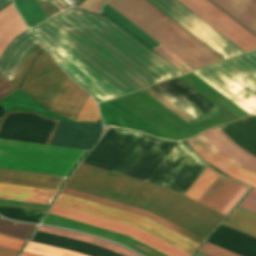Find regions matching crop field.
<instances>
[{"label":"crop field","instance_id":"30","mask_svg":"<svg viewBox=\"0 0 256 256\" xmlns=\"http://www.w3.org/2000/svg\"><path fill=\"white\" fill-rule=\"evenodd\" d=\"M24 244L25 241L0 235V246L20 251ZM4 247H0V256H16L18 254V251H14Z\"/></svg>","mask_w":256,"mask_h":256},{"label":"crop field","instance_id":"16","mask_svg":"<svg viewBox=\"0 0 256 256\" xmlns=\"http://www.w3.org/2000/svg\"><path fill=\"white\" fill-rule=\"evenodd\" d=\"M222 155L256 172V157L238 147L219 127L201 133Z\"/></svg>","mask_w":256,"mask_h":256},{"label":"crop field","instance_id":"34","mask_svg":"<svg viewBox=\"0 0 256 256\" xmlns=\"http://www.w3.org/2000/svg\"><path fill=\"white\" fill-rule=\"evenodd\" d=\"M17 90V88L0 76V99Z\"/></svg>","mask_w":256,"mask_h":256},{"label":"crop field","instance_id":"8","mask_svg":"<svg viewBox=\"0 0 256 256\" xmlns=\"http://www.w3.org/2000/svg\"><path fill=\"white\" fill-rule=\"evenodd\" d=\"M66 76L44 50L23 81L21 90L49 109Z\"/></svg>","mask_w":256,"mask_h":256},{"label":"crop field","instance_id":"9","mask_svg":"<svg viewBox=\"0 0 256 256\" xmlns=\"http://www.w3.org/2000/svg\"><path fill=\"white\" fill-rule=\"evenodd\" d=\"M50 214L81 222L84 224L92 225L116 233L130 236L168 256H189V254L135 228L111 220H107L101 217L90 215L84 212L66 208L60 205L54 204L49 211Z\"/></svg>","mask_w":256,"mask_h":256},{"label":"crop field","instance_id":"25","mask_svg":"<svg viewBox=\"0 0 256 256\" xmlns=\"http://www.w3.org/2000/svg\"><path fill=\"white\" fill-rule=\"evenodd\" d=\"M14 3L28 27L48 19L36 0H14Z\"/></svg>","mask_w":256,"mask_h":256},{"label":"crop field","instance_id":"11","mask_svg":"<svg viewBox=\"0 0 256 256\" xmlns=\"http://www.w3.org/2000/svg\"><path fill=\"white\" fill-rule=\"evenodd\" d=\"M186 142L209 164L228 176L256 187V173L222 156L201 134Z\"/></svg>","mask_w":256,"mask_h":256},{"label":"crop field","instance_id":"21","mask_svg":"<svg viewBox=\"0 0 256 256\" xmlns=\"http://www.w3.org/2000/svg\"><path fill=\"white\" fill-rule=\"evenodd\" d=\"M256 35V0H211Z\"/></svg>","mask_w":256,"mask_h":256},{"label":"crop field","instance_id":"7","mask_svg":"<svg viewBox=\"0 0 256 256\" xmlns=\"http://www.w3.org/2000/svg\"><path fill=\"white\" fill-rule=\"evenodd\" d=\"M224 59L244 53L177 0H148Z\"/></svg>","mask_w":256,"mask_h":256},{"label":"crop field","instance_id":"32","mask_svg":"<svg viewBox=\"0 0 256 256\" xmlns=\"http://www.w3.org/2000/svg\"><path fill=\"white\" fill-rule=\"evenodd\" d=\"M209 244L205 243L199 251L210 256H237L220 248L214 247L215 245L212 246Z\"/></svg>","mask_w":256,"mask_h":256},{"label":"crop field","instance_id":"13","mask_svg":"<svg viewBox=\"0 0 256 256\" xmlns=\"http://www.w3.org/2000/svg\"><path fill=\"white\" fill-rule=\"evenodd\" d=\"M102 126L60 122L50 145L89 150L100 138Z\"/></svg>","mask_w":256,"mask_h":256},{"label":"crop field","instance_id":"14","mask_svg":"<svg viewBox=\"0 0 256 256\" xmlns=\"http://www.w3.org/2000/svg\"><path fill=\"white\" fill-rule=\"evenodd\" d=\"M38 44L29 29L16 37L0 59V75L12 82L26 55Z\"/></svg>","mask_w":256,"mask_h":256},{"label":"crop field","instance_id":"24","mask_svg":"<svg viewBox=\"0 0 256 256\" xmlns=\"http://www.w3.org/2000/svg\"><path fill=\"white\" fill-rule=\"evenodd\" d=\"M223 225L256 238V214L252 212L237 207Z\"/></svg>","mask_w":256,"mask_h":256},{"label":"crop field","instance_id":"37","mask_svg":"<svg viewBox=\"0 0 256 256\" xmlns=\"http://www.w3.org/2000/svg\"><path fill=\"white\" fill-rule=\"evenodd\" d=\"M21 256H38V255L23 252V254Z\"/></svg>","mask_w":256,"mask_h":256},{"label":"crop field","instance_id":"4","mask_svg":"<svg viewBox=\"0 0 256 256\" xmlns=\"http://www.w3.org/2000/svg\"><path fill=\"white\" fill-rule=\"evenodd\" d=\"M86 152L0 139V168L68 177Z\"/></svg>","mask_w":256,"mask_h":256},{"label":"crop field","instance_id":"23","mask_svg":"<svg viewBox=\"0 0 256 256\" xmlns=\"http://www.w3.org/2000/svg\"><path fill=\"white\" fill-rule=\"evenodd\" d=\"M38 230L47 232V233H51V234H55V235H60V236L80 240V241H84V242H87L90 244H94V245L106 248L108 250L114 251L116 253L122 254L124 256H138V255L114 244V243H110V242H107V241H104V240H101L98 238L86 236V235H83L80 233L62 230V229L53 228V227H45V226H40Z\"/></svg>","mask_w":256,"mask_h":256},{"label":"crop field","instance_id":"15","mask_svg":"<svg viewBox=\"0 0 256 256\" xmlns=\"http://www.w3.org/2000/svg\"><path fill=\"white\" fill-rule=\"evenodd\" d=\"M88 95L67 76L49 110L75 121Z\"/></svg>","mask_w":256,"mask_h":256},{"label":"crop field","instance_id":"2","mask_svg":"<svg viewBox=\"0 0 256 256\" xmlns=\"http://www.w3.org/2000/svg\"><path fill=\"white\" fill-rule=\"evenodd\" d=\"M66 188L149 210L204 239L225 217L169 188L83 163Z\"/></svg>","mask_w":256,"mask_h":256},{"label":"crop field","instance_id":"10","mask_svg":"<svg viewBox=\"0 0 256 256\" xmlns=\"http://www.w3.org/2000/svg\"><path fill=\"white\" fill-rule=\"evenodd\" d=\"M245 52L256 48V36L208 0H178Z\"/></svg>","mask_w":256,"mask_h":256},{"label":"crop field","instance_id":"6","mask_svg":"<svg viewBox=\"0 0 256 256\" xmlns=\"http://www.w3.org/2000/svg\"><path fill=\"white\" fill-rule=\"evenodd\" d=\"M56 204L101 216L107 219L138 227L188 253H192L198 244L144 218L114 208L103 206L77 197L61 193Z\"/></svg>","mask_w":256,"mask_h":256},{"label":"crop field","instance_id":"5","mask_svg":"<svg viewBox=\"0 0 256 256\" xmlns=\"http://www.w3.org/2000/svg\"><path fill=\"white\" fill-rule=\"evenodd\" d=\"M250 115H256V51L193 72Z\"/></svg>","mask_w":256,"mask_h":256},{"label":"crop field","instance_id":"36","mask_svg":"<svg viewBox=\"0 0 256 256\" xmlns=\"http://www.w3.org/2000/svg\"><path fill=\"white\" fill-rule=\"evenodd\" d=\"M10 2H12L11 0H0V10L5 7L6 5H8Z\"/></svg>","mask_w":256,"mask_h":256},{"label":"crop field","instance_id":"1","mask_svg":"<svg viewBox=\"0 0 256 256\" xmlns=\"http://www.w3.org/2000/svg\"><path fill=\"white\" fill-rule=\"evenodd\" d=\"M31 31L96 102L181 75L106 17L71 8Z\"/></svg>","mask_w":256,"mask_h":256},{"label":"crop field","instance_id":"20","mask_svg":"<svg viewBox=\"0 0 256 256\" xmlns=\"http://www.w3.org/2000/svg\"><path fill=\"white\" fill-rule=\"evenodd\" d=\"M57 191L0 183V199L50 205Z\"/></svg>","mask_w":256,"mask_h":256},{"label":"crop field","instance_id":"19","mask_svg":"<svg viewBox=\"0 0 256 256\" xmlns=\"http://www.w3.org/2000/svg\"><path fill=\"white\" fill-rule=\"evenodd\" d=\"M66 178L0 169V182L59 190Z\"/></svg>","mask_w":256,"mask_h":256},{"label":"crop field","instance_id":"31","mask_svg":"<svg viewBox=\"0 0 256 256\" xmlns=\"http://www.w3.org/2000/svg\"><path fill=\"white\" fill-rule=\"evenodd\" d=\"M40 44V43H39ZM44 49L42 47V45H38L37 47H35L26 57L25 61L23 62L21 68L19 69L17 75L15 76L14 80H13V84L15 86H19L21 80L23 79L25 73L27 72L30 64L32 63L34 57L42 50Z\"/></svg>","mask_w":256,"mask_h":256},{"label":"crop field","instance_id":"3","mask_svg":"<svg viewBox=\"0 0 256 256\" xmlns=\"http://www.w3.org/2000/svg\"><path fill=\"white\" fill-rule=\"evenodd\" d=\"M193 70L222 60L145 0L106 2Z\"/></svg>","mask_w":256,"mask_h":256},{"label":"crop field","instance_id":"18","mask_svg":"<svg viewBox=\"0 0 256 256\" xmlns=\"http://www.w3.org/2000/svg\"><path fill=\"white\" fill-rule=\"evenodd\" d=\"M102 11L105 12L107 15H109L112 19L118 22L121 26L127 29L130 33H132L135 37H137L139 40H141L144 44H146L151 49L159 45L154 40H152L149 36L143 33L140 29L134 26L131 22L125 19L122 15L116 12L113 8L107 5L106 3ZM152 50H154L156 53H158L160 56H162L164 59H166L168 62H170L172 65H174L183 73L192 71V69H190L184 63H182L180 60H178L175 56H173L171 53H169L160 45Z\"/></svg>","mask_w":256,"mask_h":256},{"label":"crop field","instance_id":"33","mask_svg":"<svg viewBox=\"0 0 256 256\" xmlns=\"http://www.w3.org/2000/svg\"><path fill=\"white\" fill-rule=\"evenodd\" d=\"M239 207L256 213V190L252 189Z\"/></svg>","mask_w":256,"mask_h":256},{"label":"crop field","instance_id":"17","mask_svg":"<svg viewBox=\"0 0 256 256\" xmlns=\"http://www.w3.org/2000/svg\"><path fill=\"white\" fill-rule=\"evenodd\" d=\"M63 193H67V194H70V195H73V196H77V197H80V198H83V199H87V200H90V201H93V202H97V203H100V204H104V205H107V206H110V207H114V208H117V209H120V210H124V211H127V212H130V213H134V214H137V215H140V216H144V217H147L197 243H201L204 239L178 227L177 225L149 212V211H145V210H142V209H138V208H134V207H131V206H127V205H124V204H120V203H116V202H113V201H109V200H106V199H102V198H99V197H95V196H91V195H88V194H84V193H81V192H77V191H73V190H70V189H66L64 188L63 190Z\"/></svg>","mask_w":256,"mask_h":256},{"label":"crop field","instance_id":"27","mask_svg":"<svg viewBox=\"0 0 256 256\" xmlns=\"http://www.w3.org/2000/svg\"><path fill=\"white\" fill-rule=\"evenodd\" d=\"M217 176L218 174L207 167L184 195L197 201Z\"/></svg>","mask_w":256,"mask_h":256},{"label":"crop field","instance_id":"12","mask_svg":"<svg viewBox=\"0 0 256 256\" xmlns=\"http://www.w3.org/2000/svg\"><path fill=\"white\" fill-rule=\"evenodd\" d=\"M247 189L219 175L197 202L226 216Z\"/></svg>","mask_w":256,"mask_h":256},{"label":"crop field","instance_id":"28","mask_svg":"<svg viewBox=\"0 0 256 256\" xmlns=\"http://www.w3.org/2000/svg\"><path fill=\"white\" fill-rule=\"evenodd\" d=\"M25 251L42 256H86L77 252L36 244L32 242H29Z\"/></svg>","mask_w":256,"mask_h":256},{"label":"crop field","instance_id":"29","mask_svg":"<svg viewBox=\"0 0 256 256\" xmlns=\"http://www.w3.org/2000/svg\"><path fill=\"white\" fill-rule=\"evenodd\" d=\"M99 118L98 106L89 95L76 121L98 122Z\"/></svg>","mask_w":256,"mask_h":256},{"label":"crop field","instance_id":"22","mask_svg":"<svg viewBox=\"0 0 256 256\" xmlns=\"http://www.w3.org/2000/svg\"><path fill=\"white\" fill-rule=\"evenodd\" d=\"M26 29L13 3L0 12V57L10 42Z\"/></svg>","mask_w":256,"mask_h":256},{"label":"crop field","instance_id":"26","mask_svg":"<svg viewBox=\"0 0 256 256\" xmlns=\"http://www.w3.org/2000/svg\"><path fill=\"white\" fill-rule=\"evenodd\" d=\"M35 225L19 224L0 219V234L27 241Z\"/></svg>","mask_w":256,"mask_h":256},{"label":"crop field","instance_id":"35","mask_svg":"<svg viewBox=\"0 0 256 256\" xmlns=\"http://www.w3.org/2000/svg\"><path fill=\"white\" fill-rule=\"evenodd\" d=\"M10 113H24V112H9V113H7V114L3 117V119H2V121H1V123H0V128H1V126H2V123H3L4 119H5V117L8 116ZM32 114H36V113H32ZM37 115H38V114H37ZM39 116H40V115H39ZM41 117H43V116H41ZM43 118H45V119H47V120H50V121L56 122V124H55V126H54V128H53V130H52V132H51V135H50V137H49V139H48V141H47V143H46V144H48L49 141H50V139H51V137H52V135H53V132H54V130H55L57 124H58V121H57V120L48 119V118H46V117H43Z\"/></svg>","mask_w":256,"mask_h":256}]
</instances>
